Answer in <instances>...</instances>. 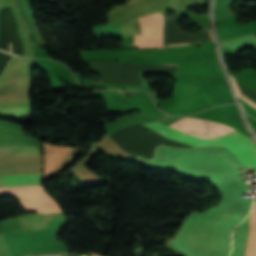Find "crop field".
<instances>
[{"mask_svg":"<svg viewBox=\"0 0 256 256\" xmlns=\"http://www.w3.org/2000/svg\"><path fill=\"white\" fill-rule=\"evenodd\" d=\"M142 125L171 140L191 147L225 146L236 155L245 167L249 170H256V148L238 131L218 138L205 140L168 128L158 122Z\"/></svg>","mask_w":256,"mask_h":256,"instance_id":"1","label":"crop field"},{"mask_svg":"<svg viewBox=\"0 0 256 256\" xmlns=\"http://www.w3.org/2000/svg\"><path fill=\"white\" fill-rule=\"evenodd\" d=\"M0 195L16 196L21 200L23 206L28 212H62L56 202L43 190L42 186L0 188Z\"/></svg>","mask_w":256,"mask_h":256,"instance_id":"2","label":"crop field"},{"mask_svg":"<svg viewBox=\"0 0 256 256\" xmlns=\"http://www.w3.org/2000/svg\"><path fill=\"white\" fill-rule=\"evenodd\" d=\"M170 126L205 139L218 137L236 131V129L222 123L194 118H184Z\"/></svg>","mask_w":256,"mask_h":256,"instance_id":"3","label":"crop field"},{"mask_svg":"<svg viewBox=\"0 0 256 256\" xmlns=\"http://www.w3.org/2000/svg\"><path fill=\"white\" fill-rule=\"evenodd\" d=\"M163 15L157 13L140 18L142 35L134 36V48L162 47Z\"/></svg>","mask_w":256,"mask_h":256,"instance_id":"4","label":"crop field"},{"mask_svg":"<svg viewBox=\"0 0 256 256\" xmlns=\"http://www.w3.org/2000/svg\"><path fill=\"white\" fill-rule=\"evenodd\" d=\"M3 187L42 184V174L0 176Z\"/></svg>","mask_w":256,"mask_h":256,"instance_id":"5","label":"crop field"},{"mask_svg":"<svg viewBox=\"0 0 256 256\" xmlns=\"http://www.w3.org/2000/svg\"><path fill=\"white\" fill-rule=\"evenodd\" d=\"M246 256H256V202H254L250 215V232Z\"/></svg>","mask_w":256,"mask_h":256,"instance_id":"6","label":"crop field"},{"mask_svg":"<svg viewBox=\"0 0 256 256\" xmlns=\"http://www.w3.org/2000/svg\"><path fill=\"white\" fill-rule=\"evenodd\" d=\"M210 32V31H209ZM210 36H211V39H212V35H211V32H210ZM213 40V39H212ZM186 45V44H184ZM170 46H177V45H170ZM164 47H168V46H164Z\"/></svg>","mask_w":256,"mask_h":256,"instance_id":"7","label":"crop field"},{"mask_svg":"<svg viewBox=\"0 0 256 256\" xmlns=\"http://www.w3.org/2000/svg\"><path fill=\"white\" fill-rule=\"evenodd\" d=\"M5 51L9 52V47H8V44H7V47H6V50H5Z\"/></svg>","mask_w":256,"mask_h":256,"instance_id":"8","label":"crop field"},{"mask_svg":"<svg viewBox=\"0 0 256 256\" xmlns=\"http://www.w3.org/2000/svg\"><path fill=\"white\" fill-rule=\"evenodd\" d=\"M90 254H91V253H90ZM91 256H99V255L91 254Z\"/></svg>","mask_w":256,"mask_h":256,"instance_id":"9","label":"crop field"}]
</instances>
